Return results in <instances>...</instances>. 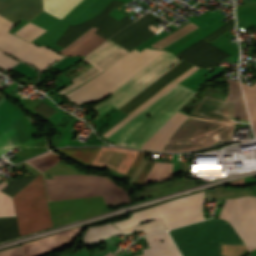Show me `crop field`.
<instances>
[{"instance_id": "9", "label": "crop field", "mask_w": 256, "mask_h": 256, "mask_svg": "<svg viewBox=\"0 0 256 256\" xmlns=\"http://www.w3.org/2000/svg\"><path fill=\"white\" fill-rule=\"evenodd\" d=\"M192 66L193 65L182 61L181 63H179L177 66H175L169 72H167L164 76H162L160 79H158L152 85H150L147 89H145L143 92H141L139 95H137L134 99H132L130 102H128L126 105H124L119 110H121L127 114L132 113L134 110H136L138 107H140L143 103H145L147 100H149L151 97H153L156 93H158L160 90H162L164 87H166L169 83H171L173 80H175L177 77H179L182 73H184L186 70H188ZM197 69H198V67H195V66L190 68L188 71H186L184 74H182L179 78H177L175 81H173L171 84H169L166 88H164L162 91H160L158 94H156L153 98H151L149 101H147L145 104H143L140 108H138L136 111H134L128 117H126L124 120H122L121 122L116 124L114 127H112L110 130H108L106 133H104L103 136L106 138L108 136H110L112 133H114L116 130H118L121 126H123L125 123H127L129 120H131L134 116H136L138 113H140L143 109H145L147 106H149L155 100H157L159 97H161L163 94H165L167 91H169L175 85H177L179 82H181L182 80L187 78L189 75H191Z\"/></svg>"}, {"instance_id": "27", "label": "crop field", "mask_w": 256, "mask_h": 256, "mask_svg": "<svg viewBox=\"0 0 256 256\" xmlns=\"http://www.w3.org/2000/svg\"><path fill=\"white\" fill-rule=\"evenodd\" d=\"M98 149L99 147L63 148V149H57V150L67 154L72 159H78L90 164L91 160L93 159Z\"/></svg>"}, {"instance_id": "16", "label": "crop field", "mask_w": 256, "mask_h": 256, "mask_svg": "<svg viewBox=\"0 0 256 256\" xmlns=\"http://www.w3.org/2000/svg\"><path fill=\"white\" fill-rule=\"evenodd\" d=\"M140 230H142L145 234H147L155 231H158V232L165 231L166 228L161 219L153 222H149L146 224L138 225L124 231H120L116 227H114L112 224L107 223L97 227H89L83 240L87 244H89V243H92L104 238H108L114 235L128 234V233H132Z\"/></svg>"}, {"instance_id": "14", "label": "crop field", "mask_w": 256, "mask_h": 256, "mask_svg": "<svg viewBox=\"0 0 256 256\" xmlns=\"http://www.w3.org/2000/svg\"><path fill=\"white\" fill-rule=\"evenodd\" d=\"M109 40L102 44L100 47H98L96 50H94L92 53H90L88 56H86L84 59H82L92 64L93 66L72 79L74 83L60 90L59 93L65 94L69 92L90 77L107 68L113 62H115L117 59L127 53L126 50Z\"/></svg>"}, {"instance_id": "8", "label": "crop field", "mask_w": 256, "mask_h": 256, "mask_svg": "<svg viewBox=\"0 0 256 256\" xmlns=\"http://www.w3.org/2000/svg\"><path fill=\"white\" fill-rule=\"evenodd\" d=\"M179 60L170 52H166L144 70L122 85L119 89L113 92L106 99L102 100L98 104L94 105L92 108L99 113H104L111 107H116L117 109L177 65L171 66L166 70L168 66Z\"/></svg>"}, {"instance_id": "22", "label": "crop field", "mask_w": 256, "mask_h": 256, "mask_svg": "<svg viewBox=\"0 0 256 256\" xmlns=\"http://www.w3.org/2000/svg\"><path fill=\"white\" fill-rule=\"evenodd\" d=\"M195 185H197L196 182L191 179H175L167 182H162L142 189L138 192V194L136 193V199L149 196H160Z\"/></svg>"}, {"instance_id": "3", "label": "crop field", "mask_w": 256, "mask_h": 256, "mask_svg": "<svg viewBox=\"0 0 256 256\" xmlns=\"http://www.w3.org/2000/svg\"><path fill=\"white\" fill-rule=\"evenodd\" d=\"M163 53L165 52L148 48L140 52L134 49L121 57L102 73L64 97L77 104L101 100Z\"/></svg>"}, {"instance_id": "38", "label": "crop field", "mask_w": 256, "mask_h": 256, "mask_svg": "<svg viewBox=\"0 0 256 256\" xmlns=\"http://www.w3.org/2000/svg\"><path fill=\"white\" fill-rule=\"evenodd\" d=\"M0 256H23L20 248L11 249L5 252H1Z\"/></svg>"}, {"instance_id": "32", "label": "crop field", "mask_w": 256, "mask_h": 256, "mask_svg": "<svg viewBox=\"0 0 256 256\" xmlns=\"http://www.w3.org/2000/svg\"><path fill=\"white\" fill-rule=\"evenodd\" d=\"M45 30L38 28L32 24H27L26 26H24L23 28H21L19 31H17L16 35L31 41L34 38H36L38 35H40L41 33H43Z\"/></svg>"}, {"instance_id": "26", "label": "crop field", "mask_w": 256, "mask_h": 256, "mask_svg": "<svg viewBox=\"0 0 256 256\" xmlns=\"http://www.w3.org/2000/svg\"><path fill=\"white\" fill-rule=\"evenodd\" d=\"M242 88L248 107L254 135L256 137V83L251 87L247 84L242 83Z\"/></svg>"}, {"instance_id": "20", "label": "crop field", "mask_w": 256, "mask_h": 256, "mask_svg": "<svg viewBox=\"0 0 256 256\" xmlns=\"http://www.w3.org/2000/svg\"><path fill=\"white\" fill-rule=\"evenodd\" d=\"M145 239L151 248L142 250L144 256H181L167 232L147 236Z\"/></svg>"}, {"instance_id": "33", "label": "crop field", "mask_w": 256, "mask_h": 256, "mask_svg": "<svg viewBox=\"0 0 256 256\" xmlns=\"http://www.w3.org/2000/svg\"><path fill=\"white\" fill-rule=\"evenodd\" d=\"M11 70H14L16 72H19L29 78H34L35 76H37L38 72L36 70H34L33 68L20 63L17 66L13 67Z\"/></svg>"}, {"instance_id": "7", "label": "crop field", "mask_w": 256, "mask_h": 256, "mask_svg": "<svg viewBox=\"0 0 256 256\" xmlns=\"http://www.w3.org/2000/svg\"><path fill=\"white\" fill-rule=\"evenodd\" d=\"M204 192L174 200L157 207L135 213L129 220L114 223L121 229L162 218L167 229L204 220L202 214Z\"/></svg>"}, {"instance_id": "34", "label": "crop field", "mask_w": 256, "mask_h": 256, "mask_svg": "<svg viewBox=\"0 0 256 256\" xmlns=\"http://www.w3.org/2000/svg\"><path fill=\"white\" fill-rule=\"evenodd\" d=\"M34 110H36L38 113L42 114L47 118L56 111L43 102L39 106H37Z\"/></svg>"}, {"instance_id": "36", "label": "crop field", "mask_w": 256, "mask_h": 256, "mask_svg": "<svg viewBox=\"0 0 256 256\" xmlns=\"http://www.w3.org/2000/svg\"><path fill=\"white\" fill-rule=\"evenodd\" d=\"M143 153H144V152H141V151L138 152V154H137V156H136V158H135L133 164L131 165L129 171H128L127 174H126V177L129 178V177L131 176V174L133 173V171L135 170V168H136L137 165L139 164V162H140V160H141V158H142Z\"/></svg>"}, {"instance_id": "12", "label": "crop field", "mask_w": 256, "mask_h": 256, "mask_svg": "<svg viewBox=\"0 0 256 256\" xmlns=\"http://www.w3.org/2000/svg\"><path fill=\"white\" fill-rule=\"evenodd\" d=\"M121 5L123 4L112 1L108 5V7L95 18L76 26L69 25L65 33L57 41L56 45L65 48L82 34H84L86 31H88L92 26L98 28L95 33L106 39L110 38L122 28L134 21L126 16L118 22L107 15L114 8Z\"/></svg>"}, {"instance_id": "37", "label": "crop field", "mask_w": 256, "mask_h": 256, "mask_svg": "<svg viewBox=\"0 0 256 256\" xmlns=\"http://www.w3.org/2000/svg\"><path fill=\"white\" fill-rule=\"evenodd\" d=\"M80 58H65L63 59L61 62H59L58 64L54 65L59 69H64L65 67L69 66L70 64L74 63L75 61H77Z\"/></svg>"}, {"instance_id": "29", "label": "crop field", "mask_w": 256, "mask_h": 256, "mask_svg": "<svg viewBox=\"0 0 256 256\" xmlns=\"http://www.w3.org/2000/svg\"><path fill=\"white\" fill-rule=\"evenodd\" d=\"M197 27L198 26H196L194 23L191 22V23L185 25L184 27L180 28L176 32L168 35L167 37L159 40L158 42H156L150 46L153 48L161 49L164 46H166L167 44L175 41L176 39L184 36L185 34L191 32L192 30L196 29Z\"/></svg>"}, {"instance_id": "21", "label": "crop field", "mask_w": 256, "mask_h": 256, "mask_svg": "<svg viewBox=\"0 0 256 256\" xmlns=\"http://www.w3.org/2000/svg\"><path fill=\"white\" fill-rule=\"evenodd\" d=\"M96 28L92 27L88 32L70 44L59 53L65 55H86L105 39L95 34Z\"/></svg>"}, {"instance_id": "5", "label": "crop field", "mask_w": 256, "mask_h": 256, "mask_svg": "<svg viewBox=\"0 0 256 256\" xmlns=\"http://www.w3.org/2000/svg\"><path fill=\"white\" fill-rule=\"evenodd\" d=\"M233 122L189 116L169 140L163 151L195 150L218 141L232 140Z\"/></svg>"}, {"instance_id": "24", "label": "crop field", "mask_w": 256, "mask_h": 256, "mask_svg": "<svg viewBox=\"0 0 256 256\" xmlns=\"http://www.w3.org/2000/svg\"><path fill=\"white\" fill-rule=\"evenodd\" d=\"M228 84L230 93L227 100L231 101L228 115L249 120L243 98L240 97L242 94L239 83L236 81L228 80Z\"/></svg>"}, {"instance_id": "25", "label": "crop field", "mask_w": 256, "mask_h": 256, "mask_svg": "<svg viewBox=\"0 0 256 256\" xmlns=\"http://www.w3.org/2000/svg\"><path fill=\"white\" fill-rule=\"evenodd\" d=\"M1 98V97H0ZM23 115L5 97L0 99V135L13 126Z\"/></svg>"}, {"instance_id": "1", "label": "crop field", "mask_w": 256, "mask_h": 256, "mask_svg": "<svg viewBox=\"0 0 256 256\" xmlns=\"http://www.w3.org/2000/svg\"><path fill=\"white\" fill-rule=\"evenodd\" d=\"M220 218L248 250L256 249V197L227 200ZM215 218L169 231L183 256H221V243L244 244Z\"/></svg>"}, {"instance_id": "18", "label": "crop field", "mask_w": 256, "mask_h": 256, "mask_svg": "<svg viewBox=\"0 0 256 256\" xmlns=\"http://www.w3.org/2000/svg\"><path fill=\"white\" fill-rule=\"evenodd\" d=\"M82 228L83 226L31 243L24 244L21 247L25 256H39L69 242L80 232Z\"/></svg>"}, {"instance_id": "4", "label": "crop field", "mask_w": 256, "mask_h": 256, "mask_svg": "<svg viewBox=\"0 0 256 256\" xmlns=\"http://www.w3.org/2000/svg\"><path fill=\"white\" fill-rule=\"evenodd\" d=\"M49 201L102 196L106 204L128 202V192L108 177L60 175L44 179Z\"/></svg>"}, {"instance_id": "31", "label": "crop field", "mask_w": 256, "mask_h": 256, "mask_svg": "<svg viewBox=\"0 0 256 256\" xmlns=\"http://www.w3.org/2000/svg\"><path fill=\"white\" fill-rule=\"evenodd\" d=\"M10 130L12 132L16 145L17 146L20 145L16 132L14 130V127H11ZM10 130H8L7 132H8L12 147L15 148L16 145L14 143ZM7 132H5L2 136H0V156L12 149Z\"/></svg>"}, {"instance_id": "17", "label": "crop field", "mask_w": 256, "mask_h": 256, "mask_svg": "<svg viewBox=\"0 0 256 256\" xmlns=\"http://www.w3.org/2000/svg\"><path fill=\"white\" fill-rule=\"evenodd\" d=\"M137 152L116 148H101L92 164L106 165L126 174Z\"/></svg>"}, {"instance_id": "11", "label": "crop field", "mask_w": 256, "mask_h": 256, "mask_svg": "<svg viewBox=\"0 0 256 256\" xmlns=\"http://www.w3.org/2000/svg\"><path fill=\"white\" fill-rule=\"evenodd\" d=\"M15 24L0 17V48L6 52L22 59L32 66L43 69L63 56L45 48L36 47L29 44L18 37L8 33L7 31Z\"/></svg>"}, {"instance_id": "40", "label": "crop field", "mask_w": 256, "mask_h": 256, "mask_svg": "<svg viewBox=\"0 0 256 256\" xmlns=\"http://www.w3.org/2000/svg\"><path fill=\"white\" fill-rule=\"evenodd\" d=\"M97 256H114V255L105 250V251H103L102 253H100V254L97 255Z\"/></svg>"}, {"instance_id": "23", "label": "crop field", "mask_w": 256, "mask_h": 256, "mask_svg": "<svg viewBox=\"0 0 256 256\" xmlns=\"http://www.w3.org/2000/svg\"><path fill=\"white\" fill-rule=\"evenodd\" d=\"M35 177V176H34ZM34 177L11 181L1 192L13 196ZM0 192V217L15 216L11 197Z\"/></svg>"}, {"instance_id": "39", "label": "crop field", "mask_w": 256, "mask_h": 256, "mask_svg": "<svg viewBox=\"0 0 256 256\" xmlns=\"http://www.w3.org/2000/svg\"><path fill=\"white\" fill-rule=\"evenodd\" d=\"M180 167H181V169L183 171V174L190 173V165H188L186 163H183V162H180Z\"/></svg>"}, {"instance_id": "6", "label": "crop field", "mask_w": 256, "mask_h": 256, "mask_svg": "<svg viewBox=\"0 0 256 256\" xmlns=\"http://www.w3.org/2000/svg\"><path fill=\"white\" fill-rule=\"evenodd\" d=\"M12 200L21 236L53 226L41 173Z\"/></svg>"}, {"instance_id": "19", "label": "crop field", "mask_w": 256, "mask_h": 256, "mask_svg": "<svg viewBox=\"0 0 256 256\" xmlns=\"http://www.w3.org/2000/svg\"><path fill=\"white\" fill-rule=\"evenodd\" d=\"M187 116L177 112L159 131H157L140 149L162 151L170 137L184 122Z\"/></svg>"}, {"instance_id": "10", "label": "crop field", "mask_w": 256, "mask_h": 256, "mask_svg": "<svg viewBox=\"0 0 256 256\" xmlns=\"http://www.w3.org/2000/svg\"><path fill=\"white\" fill-rule=\"evenodd\" d=\"M42 1L44 11L61 19L81 0ZM42 11L41 0H0V15L15 24L22 18L30 22Z\"/></svg>"}, {"instance_id": "28", "label": "crop field", "mask_w": 256, "mask_h": 256, "mask_svg": "<svg viewBox=\"0 0 256 256\" xmlns=\"http://www.w3.org/2000/svg\"><path fill=\"white\" fill-rule=\"evenodd\" d=\"M173 164L155 163L143 184L172 177Z\"/></svg>"}, {"instance_id": "35", "label": "crop field", "mask_w": 256, "mask_h": 256, "mask_svg": "<svg viewBox=\"0 0 256 256\" xmlns=\"http://www.w3.org/2000/svg\"><path fill=\"white\" fill-rule=\"evenodd\" d=\"M153 165H154V163H151V162L147 163L145 168L140 173V175H139L137 181L135 182V184H142V182L144 181L145 177L147 176V174L149 173V171L151 170Z\"/></svg>"}, {"instance_id": "13", "label": "crop field", "mask_w": 256, "mask_h": 256, "mask_svg": "<svg viewBox=\"0 0 256 256\" xmlns=\"http://www.w3.org/2000/svg\"><path fill=\"white\" fill-rule=\"evenodd\" d=\"M94 0H83L79 5L73 8L65 17L61 20L42 12L31 23L47 30L33 42L38 45H46L56 51L62 50V48L54 45L59 37L66 30L68 25L81 14Z\"/></svg>"}, {"instance_id": "30", "label": "crop field", "mask_w": 256, "mask_h": 256, "mask_svg": "<svg viewBox=\"0 0 256 256\" xmlns=\"http://www.w3.org/2000/svg\"><path fill=\"white\" fill-rule=\"evenodd\" d=\"M61 158L62 157H60L56 153L50 151L40 157L28 160L27 162H29L31 165H33L35 168L42 172L53 163L59 161Z\"/></svg>"}, {"instance_id": "15", "label": "crop field", "mask_w": 256, "mask_h": 256, "mask_svg": "<svg viewBox=\"0 0 256 256\" xmlns=\"http://www.w3.org/2000/svg\"><path fill=\"white\" fill-rule=\"evenodd\" d=\"M157 19L158 18L147 13L144 17L113 36L110 40L130 52L151 36L162 31L151 25Z\"/></svg>"}, {"instance_id": "2", "label": "crop field", "mask_w": 256, "mask_h": 256, "mask_svg": "<svg viewBox=\"0 0 256 256\" xmlns=\"http://www.w3.org/2000/svg\"><path fill=\"white\" fill-rule=\"evenodd\" d=\"M195 93L178 84L108 139L118 142V145L140 148Z\"/></svg>"}]
</instances>
